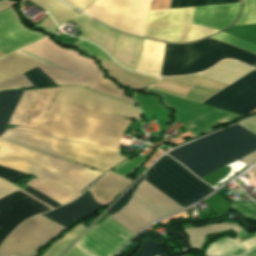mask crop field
Wrapping results in <instances>:
<instances>
[{
  "label": "crop field",
  "mask_w": 256,
  "mask_h": 256,
  "mask_svg": "<svg viewBox=\"0 0 256 256\" xmlns=\"http://www.w3.org/2000/svg\"><path fill=\"white\" fill-rule=\"evenodd\" d=\"M22 93L23 91L0 92V136L6 130L8 121ZM70 105L141 121L136 107L87 91L78 86L61 87L43 120L59 124ZM44 121L41 122L37 131L22 126L12 130H26L46 136L77 141L119 153L121 140Z\"/></svg>",
  "instance_id": "8a807250"
},
{
  "label": "crop field",
  "mask_w": 256,
  "mask_h": 256,
  "mask_svg": "<svg viewBox=\"0 0 256 256\" xmlns=\"http://www.w3.org/2000/svg\"><path fill=\"white\" fill-rule=\"evenodd\" d=\"M256 150V135L236 124L167 153L202 177Z\"/></svg>",
  "instance_id": "ac0d7876"
},
{
  "label": "crop field",
  "mask_w": 256,
  "mask_h": 256,
  "mask_svg": "<svg viewBox=\"0 0 256 256\" xmlns=\"http://www.w3.org/2000/svg\"><path fill=\"white\" fill-rule=\"evenodd\" d=\"M0 165L36 175L77 192L102 174L62 159L29 150L3 139H0ZM103 175L105 174L99 176L82 191Z\"/></svg>",
  "instance_id": "34b2d1b8"
},
{
  "label": "crop field",
  "mask_w": 256,
  "mask_h": 256,
  "mask_svg": "<svg viewBox=\"0 0 256 256\" xmlns=\"http://www.w3.org/2000/svg\"><path fill=\"white\" fill-rule=\"evenodd\" d=\"M223 58H234L251 66L256 62V55L208 38L186 45L166 44L161 76L200 72Z\"/></svg>",
  "instance_id": "412701ff"
},
{
  "label": "crop field",
  "mask_w": 256,
  "mask_h": 256,
  "mask_svg": "<svg viewBox=\"0 0 256 256\" xmlns=\"http://www.w3.org/2000/svg\"><path fill=\"white\" fill-rule=\"evenodd\" d=\"M16 144L107 171L126 158L118 154L26 131H5L1 136Z\"/></svg>",
  "instance_id": "f4fd0767"
},
{
  "label": "crop field",
  "mask_w": 256,
  "mask_h": 256,
  "mask_svg": "<svg viewBox=\"0 0 256 256\" xmlns=\"http://www.w3.org/2000/svg\"><path fill=\"white\" fill-rule=\"evenodd\" d=\"M82 12L96 0H64ZM153 0H97L83 13L128 34L143 37Z\"/></svg>",
  "instance_id": "dd49c442"
},
{
  "label": "crop field",
  "mask_w": 256,
  "mask_h": 256,
  "mask_svg": "<svg viewBox=\"0 0 256 256\" xmlns=\"http://www.w3.org/2000/svg\"><path fill=\"white\" fill-rule=\"evenodd\" d=\"M144 180L183 208L214 190L166 155L148 170Z\"/></svg>",
  "instance_id": "e52e79f7"
},
{
  "label": "crop field",
  "mask_w": 256,
  "mask_h": 256,
  "mask_svg": "<svg viewBox=\"0 0 256 256\" xmlns=\"http://www.w3.org/2000/svg\"><path fill=\"white\" fill-rule=\"evenodd\" d=\"M144 92L158 94L166 107L174 109V121L180 122L195 137L216 127L237 120L239 115L218 110L193 101L147 88Z\"/></svg>",
  "instance_id": "d8731c3e"
},
{
  "label": "crop field",
  "mask_w": 256,
  "mask_h": 256,
  "mask_svg": "<svg viewBox=\"0 0 256 256\" xmlns=\"http://www.w3.org/2000/svg\"><path fill=\"white\" fill-rule=\"evenodd\" d=\"M194 8L151 12L145 37L168 42H185L207 37L218 30L191 24Z\"/></svg>",
  "instance_id": "5a996713"
},
{
  "label": "crop field",
  "mask_w": 256,
  "mask_h": 256,
  "mask_svg": "<svg viewBox=\"0 0 256 256\" xmlns=\"http://www.w3.org/2000/svg\"><path fill=\"white\" fill-rule=\"evenodd\" d=\"M72 21L79 25L82 33L80 37L99 45L118 64L135 69L141 50V39L110 30L84 15Z\"/></svg>",
  "instance_id": "3316defc"
},
{
  "label": "crop field",
  "mask_w": 256,
  "mask_h": 256,
  "mask_svg": "<svg viewBox=\"0 0 256 256\" xmlns=\"http://www.w3.org/2000/svg\"><path fill=\"white\" fill-rule=\"evenodd\" d=\"M53 43L47 37L16 52L68 74L76 80L87 71L99 78L104 75L93 60L83 58L78 52L58 47Z\"/></svg>",
  "instance_id": "28ad6ade"
},
{
  "label": "crop field",
  "mask_w": 256,
  "mask_h": 256,
  "mask_svg": "<svg viewBox=\"0 0 256 256\" xmlns=\"http://www.w3.org/2000/svg\"><path fill=\"white\" fill-rule=\"evenodd\" d=\"M65 228L41 215L18 226L0 247V256H34L44 245Z\"/></svg>",
  "instance_id": "d1516ede"
},
{
  "label": "crop field",
  "mask_w": 256,
  "mask_h": 256,
  "mask_svg": "<svg viewBox=\"0 0 256 256\" xmlns=\"http://www.w3.org/2000/svg\"><path fill=\"white\" fill-rule=\"evenodd\" d=\"M23 194L31 197L48 208L53 209L10 183L0 179V203L14 199ZM25 195L0 205V242L19 223L28 217L50 210Z\"/></svg>",
  "instance_id": "22f410ed"
},
{
  "label": "crop field",
  "mask_w": 256,
  "mask_h": 256,
  "mask_svg": "<svg viewBox=\"0 0 256 256\" xmlns=\"http://www.w3.org/2000/svg\"><path fill=\"white\" fill-rule=\"evenodd\" d=\"M133 236L108 217L93 225L76 243L95 256H113Z\"/></svg>",
  "instance_id": "cbeb9de0"
},
{
  "label": "crop field",
  "mask_w": 256,
  "mask_h": 256,
  "mask_svg": "<svg viewBox=\"0 0 256 256\" xmlns=\"http://www.w3.org/2000/svg\"><path fill=\"white\" fill-rule=\"evenodd\" d=\"M203 104L242 116L256 108V70L228 86Z\"/></svg>",
  "instance_id": "5142ce71"
},
{
  "label": "crop field",
  "mask_w": 256,
  "mask_h": 256,
  "mask_svg": "<svg viewBox=\"0 0 256 256\" xmlns=\"http://www.w3.org/2000/svg\"><path fill=\"white\" fill-rule=\"evenodd\" d=\"M130 121L70 106L60 124L121 139Z\"/></svg>",
  "instance_id": "d9b57169"
},
{
  "label": "crop field",
  "mask_w": 256,
  "mask_h": 256,
  "mask_svg": "<svg viewBox=\"0 0 256 256\" xmlns=\"http://www.w3.org/2000/svg\"><path fill=\"white\" fill-rule=\"evenodd\" d=\"M59 88L24 91L9 124L37 130Z\"/></svg>",
  "instance_id": "733c2abd"
},
{
  "label": "crop field",
  "mask_w": 256,
  "mask_h": 256,
  "mask_svg": "<svg viewBox=\"0 0 256 256\" xmlns=\"http://www.w3.org/2000/svg\"><path fill=\"white\" fill-rule=\"evenodd\" d=\"M46 35L28 29L13 7L0 12V50L8 54ZM0 51V57L6 55Z\"/></svg>",
  "instance_id": "4a817a6b"
},
{
  "label": "crop field",
  "mask_w": 256,
  "mask_h": 256,
  "mask_svg": "<svg viewBox=\"0 0 256 256\" xmlns=\"http://www.w3.org/2000/svg\"><path fill=\"white\" fill-rule=\"evenodd\" d=\"M225 86L227 85L194 75L161 79L151 88L201 102Z\"/></svg>",
  "instance_id": "bc2a9ffb"
},
{
  "label": "crop field",
  "mask_w": 256,
  "mask_h": 256,
  "mask_svg": "<svg viewBox=\"0 0 256 256\" xmlns=\"http://www.w3.org/2000/svg\"><path fill=\"white\" fill-rule=\"evenodd\" d=\"M39 65L16 52L0 59V90L33 87L22 73Z\"/></svg>",
  "instance_id": "214f88e0"
},
{
  "label": "crop field",
  "mask_w": 256,
  "mask_h": 256,
  "mask_svg": "<svg viewBox=\"0 0 256 256\" xmlns=\"http://www.w3.org/2000/svg\"><path fill=\"white\" fill-rule=\"evenodd\" d=\"M103 206L93 202L91 196L86 190L80 197L69 204L58 207L49 212L43 213L44 217L68 228L73 218L82 221L96 214Z\"/></svg>",
  "instance_id": "92a150f3"
},
{
  "label": "crop field",
  "mask_w": 256,
  "mask_h": 256,
  "mask_svg": "<svg viewBox=\"0 0 256 256\" xmlns=\"http://www.w3.org/2000/svg\"><path fill=\"white\" fill-rule=\"evenodd\" d=\"M240 12V3L195 7L192 23L222 30L232 24Z\"/></svg>",
  "instance_id": "dafd665d"
},
{
  "label": "crop field",
  "mask_w": 256,
  "mask_h": 256,
  "mask_svg": "<svg viewBox=\"0 0 256 256\" xmlns=\"http://www.w3.org/2000/svg\"><path fill=\"white\" fill-rule=\"evenodd\" d=\"M110 217L134 235L143 226L158 219L133 200H130L127 206Z\"/></svg>",
  "instance_id": "00972430"
},
{
  "label": "crop field",
  "mask_w": 256,
  "mask_h": 256,
  "mask_svg": "<svg viewBox=\"0 0 256 256\" xmlns=\"http://www.w3.org/2000/svg\"><path fill=\"white\" fill-rule=\"evenodd\" d=\"M165 44L143 39L140 58L135 71L160 76Z\"/></svg>",
  "instance_id": "a9b5d70f"
},
{
  "label": "crop field",
  "mask_w": 256,
  "mask_h": 256,
  "mask_svg": "<svg viewBox=\"0 0 256 256\" xmlns=\"http://www.w3.org/2000/svg\"><path fill=\"white\" fill-rule=\"evenodd\" d=\"M131 182L132 180L109 173L89 191L94 197L95 201L106 206L115 195L121 193L123 189Z\"/></svg>",
  "instance_id": "4177f3b9"
},
{
  "label": "crop field",
  "mask_w": 256,
  "mask_h": 256,
  "mask_svg": "<svg viewBox=\"0 0 256 256\" xmlns=\"http://www.w3.org/2000/svg\"><path fill=\"white\" fill-rule=\"evenodd\" d=\"M252 70L254 69L238 62L223 60L215 67L197 75L230 85Z\"/></svg>",
  "instance_id": "730fd06b"
},
{
  "label": "crop field",
  "mask_w": 256,
  "mask_h": 256,
  "mask_svg": "<svg viewBox=\"0 0 256 256\" xmlns=\"http://www.w3.org/2000/svg\"><path fill=\"white\" fill-rule=\"evenodd\" d=\"M244 11L239 21L230 28L256 24V0H243ZM229 28V29H230ZM226 32L237 36L256 45V25L226 30Z\"/></svg>",
  "instance_id": "eef30255"
},
{
  "label": "crop field",
  "mask_w": 256,
  "mask_h": 256,
  "mask_svg": "<svg viewBox=\"0 0 256 256\" xmlns=\"http://www.w3.org/2000/svg\"><path fill=\"white\" fill-rule=\"evenodd\" d=\"M135 193L167 215L183 209L144 180Z\"/></svg>",
  "instance_id": "ae1a2a85"
},
{
  "label": "crop field",
  "mask_w": 256,
  "mask_h": 256,
  "mask_svg": "<svg viewBox=\"0 0 256 256\" xmlns=\"http://www.w3.org/2000/svg\"><path fill=\"white\" fill-rule=\"evenodd\" d=\"M230 229H232L234 232L242 230V228L234 223H221L187 229L183 231L189 235V245L191 249H201L206 235Z\"/></svg>",
  "instance_id": "d3111659"
},
{
  "label": "crop field",
  "mask_w": 256,
  "mask_h": 256,
  "mask_svg": "<svg viewBox=\"0 0 256 256\" xmlns=\"http://www.w3.org/2000/svg\"><path fill=\"white\" fill-rule=\"evenodd\" d=\"M133 100L139 105L142 114L154 116L158 119L171 122V111L159 104L158 98L133 93Z\"/></svg>",
  "instance_id": "750c4746"
},
{
  "label": "crop field",
  "mask_w": 256,
  "mask_h": 256,
  "mask_svg": "<svg viewBox=\"0 0 256 256\" xmlns=\"http://www.w3.org/2000/svg\"><path fill=\"white\" fill-rule=\"evenodd\" d=\"M37 4L41 8L48 11L54 18L57 25L64 23L72 18L77 17L79 14L76 13L72 8L64 5L57 0H30Z\"/></svg>",
  "instance_id": "bd1437ed"
},
{
  "label": "crop field",
  "mask_w": 256,
  "mask_h": 256,
  "mask_svg": "<svg viewBox=\"0 0 256 256\" xmlns=\"http://www.w3.org/2000/svg\"><path fill=\"white\" fill-rule=\"evenodd\" d=\"M242 253H245V250L242 248L240 243L236 239L225 237L214 243H212L207 252L206 256H237Z\"/></svg>",
  "instance_id": "1d83c4d3"
},
{
  "label": "crop field",
  "mask_w": 256,
  "mask_h": 256,
  "mask_svg": "<svg viewBox=\"0 0 256 256\" xmlns=\"http://www.w3.org/2000/svg\"><path fill=\"white\" fill-rule=\"evenodd\" d=\"M39 68L44 71L53 81H55L58 85H71V84H77V85H81V86H85L95 80H97L98 78L93 76L90 73H86L84 74L80 79H78L77 81L74 80L73 78L58 72L50 67L41 65L39 66Z\"/></svg>",
  "instance_id": "120bbe31"
},
{
  "label": "crop field",
  "mask_w": 256,
  "mask_h": 256,
  "mask_svg": "<svg viewBox=\"0 0 256 256\" xmlns=\"http://www.w3.org/2000/svg\"><path fill=\"white\" fill-rule=\"evenodd\" d=\"M86 229L84 223L78 225L75 230L69 232L60 241L55 242L44 256H61Z\"/></svg>",
  "instance_id": "d32e631a"
},
{
  "label": "crop field",
  "mask_w": 256,
  "mask_h": 256,
  "mask_svg": "<svg viewBox=\"0 0 256 256\" xmlns=\"http://www.w3.org/2000/svg\"><path fill=\"white\" fill-rule=\"evenodd\" d=\"M86 87L103 93L105 95L116 97L123 101L135 104V102L131 98L125 95L123 89L119 88L115 83L103 77Z\"/></svg>",
  "instance_id": "5866460e"
},
{
  "label": "crop field",
  "mask_w": 256,
  "mask_h": 256,
  "mask_svg": "<svg viewBox=\"0 0 256 256\" xmlns=\"http://www.w3.org/2000/svg\"><path fill=\"white\" fill-rule=\"evenodd\" d=\"M26 184L37 189L38 191L42 192L43 194L47 195L48 197L52 198L53 200L57 201L58 203H60L62 205L73 200V199H71V198L37 182V181L32 180Z\"/></svg>",
  "instance_id": "028f5c9d"
},
{
  "label": "crop field",
  "mask_w": 256,
  "mask_h": 256,
  "mask_svg": "<svg viewBox=\"0 0 256 256\" xmlns=\"http://www.w3.org/2000/svg\"><path fill=\"white\" fill-rule=\"evenodd\" d=\"M26 78L32 83L34 87L40 86H55L56 84L38 67L24 73Z\"/></svg>",
  "instance_id": "e1f06a70"
},
{
  "label": "crop field",
  "mask_w": 256,
  "mask_h": 256,
  "mask_svg": "<svg viewBox=\"0 0 256 256\" xmlns=\"http://www.w3.org/2000/svg\"><path fill=\"white\" fill-rule=\"evenodd\" d=\"M234 2H239V0H172L170 9Z\"/></svg>",
  "instance_id": "0bd39190"
},
{
  "label": "crop field",
  "mask_w": 256,
  "mask_h": 256,
  "mask_svg": "<svg viewBox=\"0 0 256 256\" xmlns=\"http://www.w3.org/2000/svg\"><path fill=\"white\" fill-rule=\"evenodd\" d=\"M100 65H102L104 67V69L108 72L123 75L126 77L134 78V79L149 82V83H152L153 81H155L157 79L154 77H146V76L134 73V72L126 71L116 65L106 63V62H100Z\"/></svg>",
  "instance_id": "b80d0937"
},
{
  "label": "crop field",
  "mask_w": 256,
  "mask_h": 256,
  "mask_svg": "<svg viewBox=\"0 0 256 256\" xmlns=\"http://www.w3.org/2000/svg\"><path fill=\"white\" fill-rule=\"evenodd\" d=\"M73 46L80 48L82 51L90 54L91 56H93L94 58H96L100 61L105 60L107 62L114 63L104 52H102L97 47H95L81 39H79Z\"/></svg>",
  "instance_id": "c035e120"
},
{
  "label": "crop field",
  "mask_w": 256,
  "mask_h": 256,
  "mask_svg": "<svg viewBox=\"0 0 256 256\" xmlns=\"http://www.w3.org/2000/svg\"><path fill=\"white\" fill-rule=\"evenodd\" d=\"M212 38H215V39H218V40H221V41H225V42H228V43H231V44H234L240 48H243L247 51H250L252 53H255L256 54V46L250 44V43H247L245 41H242L238 38H235L233 36H230L226 33H219L217 35H214L212 36Z\"/></svg>",
  "instance_id": "c21b1889"
},
{
  "label": "crop field",
  "mask_w": 256,
  "mask_h": 256,
  "mask_svg": "<svg viewBox=\"0 0 256 256\" xmlns=\"http://www.w3.org/2000/svg\"><path fill=\"white\" fill-rule=\"evenodd\" d=\"M168 256L163 253L156 242L143 240L140 251L135 256Z\"/></svg>",
  "instance_id": "03da06ac"
},
{
  "label": "crop field",
  "mask_w": 256,
  "mask_h": 256,
  "mask_svg": "<svg viewBox=\"0 0 256 256\" xmlns=\"http://www.w3.org/2000/svg\"><path fill=\"white\" fill-rule=\"evenodd\" d=\"M231 208L247 218L256 219V202H235Z\"/></svg>",
  "instance_id": "b54c1fbb"
},
{
  "label": "crop field",
  "mask_w": 256,
  "mask_h": 256,
  "mask_svg": "<svg viewBox=\"0 0 256 256\" xmlns=\"http://www.w3.org/2000/svg\"><path fill=\"white\" fill-rule=\"evenodd\" d=\"M145 158H146V156H138V157L128 161L124 165L116 168L115 170L112 171V173L120 174V175L126 177L130 173H132V171L136 167H138L145 160Z\"/></svg>",
  "instance_id": "5d738f31"
},
{
  "label": "crop field",
  "mask_w": 256,
  "mask_h": 256,
  "mask_svg": "<svg viewBox=\"0 0 256 256\" xmlns=\"http://www.w3.org/2000/svg\"><path fill=\"white\" fill-rule=\"evenodd\" d=\"M145 173L141 176V178L110 208L107 212L109 215L117 212L120 210L130 199L132 194L134 193L135 189L137 188L140 181L143 179Z\"/></svg>",
  "instance_id": "d23c7cc5"
},
{
  "label": "crop field",
  "mask_w": 256,
  "mask_h": 256,
  "mask_svg": "<svg viewBox=\"0 0 256 256\" xmlns=\"http://www.w3.org/2000/svg\"><path fill=\"white\" fill-rule=\"evenodd\" d=\"M135 202H137L138 204H140L142 207H144L145 209H147L149 212H151L152 214H154L156 217L161 218V217H165L167 215H165L164 213H162L160 210H158L157 208H155L154 206H152L150 203H148L147 201H145L144 199H142L140 196H138L137 194L134 193V195L132 196V198Z\"/></svg>",
  "instance_id": "425ffa30"
},
{
  "label": "crop field",
  "mask_w": 256,
  "mask_h": 256,
  "mask_svg": "<svg viewBox=\"0 0 256 256\" xmlns=\"http://www.w3.org/2000/svg\"><path fill=\"white\" fill-rule=\"evenodd\" d=\"M108 75L114 77L117 81H119L120 83H122V84H124V85H126L130 88H136V89L141 90L144 87H146L147 85H149V84H145V83H142V82H139V81H135V80L128 79V78H125V77H121V76L111 74V73H109Z\"/></svg>",
  "instance_id": "25e5ab78"
},
{
  "label": "crop field",
  "mask_w": 256,
  "mask_h": 256,
  "mask_svg": "<svg viewBox=\"0 0 256 256\" xmlns=\"http://www.w3.org/2000/svg\"><path fill=\"white\" fill-rule=\"evenodd\" d=\"M25 173H21L15 170H11L5 167L0 166V177L9 181V182H14L21 176H23Z\"/></svg>",
  "instance_id": "73cf0c24"
},
{
  "label": "crop field",
  "mask_w": 256,
  "mask_h": 256,
  "mask_svg": "<svg viewBox=\"0 0 256 256\" xmlns=\"http://www.w3.org/2000/svg\"><path fill=\"white\" fill-rule=\"evenodd\" d=\"M33 179H35V180H37V181H39V182H41V183H43V184H45V185L51 187V188H53V189H55V190H57V191H60V192L66 194V195H68V196H70V197H72V198H74V199L80 195V194H78V193H76V192H74V191H72V190H69V189H67V188H64V187H62V186H60V185H58V184L50 183V182L45 181V180H43V179H40V178H38V177L33 178Z\"/></svg>",
  "instance_id": "89e229c0"
},
{
  "label": "crop field",
  "mask_w": 256,
  "mask_h": 256,
  "mask_svg": "<svg viewBox=\"0 0 256 256\" xmlns=\"http://www.w3.org/2000/svg\"><path fill=\"white\" fill-rule=\"evenodd\" d=\"M25 192L33 195L34 197L40 199L41 201L47 203L48 205L56 208L58 206H61L60 204H58L57 202L53 201L52 199L48 198L47 196L37 192L35 189L29 187L27 189L24 190Z\"/></svg>",
  "instance_id": "1f2cbd36"
},
{
  "label": "crop field",
  "mask_w": 256,
  "mask_h": 256,
  "mask_svg": "<svg viewBox=\"0 0 256 256\" xmlns=\"http://www.w3.org/2000/svg\"><path fill=\"white\" fill-rule=\"evenodd\" d=\"M64 256H93V255L75 243L67 251V253Z\"/></svg>",
  "instance_id": "dbb93151"
},
{
  "label": "crop field",
  "mask_w": 256,
  "mask_h": 256,
  "mask_svg": "<svg viewBox=\"0 0 256 256\" xmlns=\"http://www.w3.org/2000/svg\"><path fill=\"white\" fill-rule=\"evenodd\" d=\"M43 30H46L50 33L54 32L55 30H57V28L54 26L53 22L51 21V19H49L48 17H46L43 21H41L38 25H35Z\"/></svg>",
  "instance_id": "0fb4a251"
},
{
  "label": "crop field",
  "mask_w": 256,
  "mask_h": 256,
  "mask_svg": "<svg viewBox=\"0 0 256 256\" xmlns=\"http://www.w3.org/2000/svg\"><path fill=\"white\" fill-rule=\"evenodd\" d=\"M245 127L246 129L250 130L254 134H256V117L246 120L244 122L238 123Z\"/></svg>",
  "instance_id": "1d79db26"
},
{
  "label": "crop field",
  "mask_w": 256,
  "mask_h": 256,
  "mask_svg": "<svg viewBox=\"0 0 256 256\" xmlns=\"http://www.w3.org/2000/svg\"><path fill=\"white\" fill-rule=\"evenodd\" d=\"M255 236H256V233H255ZM244 248L249 251L251 249H253L254 247H256V237L254 238H251L249 240H246V241H243V242H240Z\"/></svg>",
  "instance_id": "9d1cf04e"
},
{
  "label": "crop field",
  "mask_w": 256,
  "mask_h": 256,
  "mask_svg": "<svg viewBox=\"0 0 256 256\" xmlns=\"http://www.w3.org/2000/svg\"><path fill=\"white\" fill-rule=\"evenodd\" d=\"M249 177L246 179L256 189V167L247 172Z\"/></svg>",
  "instance_id": "447ae74e"
},
{
  "label": "crop field",
  "mask_w": 256,
  "mask_h": 256,
  "mask_svg": "<svg viewBox=\"0 0 256 256\" xmlns=\"http://www.w3.org/2000/svg\"><path fill=\"white\" fill-rule=\"evenodd\" d=\"M241 160L248 166L249 164L256 161V151L241 158Z\"/></svg>",
  "instance_id": "0765c3eb"
},
{
  "label": "crop field",
  "mask_w": 256,
  "mask_h": 256,
  "mask_svg": "<svg viewBox=\"0 0 256 256\" xmlns=\"http://www.w3.org/2000/svg\"><path fill=\"white\" fill-rule=\"evenodd\" d=\"M184 217H187L185 211L180 213V214H178V215H176V216H174V217H171L169 219L163 220V221H161V223L164 224V223H167V222H170V221H174V220H177V219H180V218H184Z\"/></svg>",
  "instance_id": "db79e9e6"
},
{
  "label": "crop field",
  "mask_w": 256,
  "mask_h": 256,
  "mask_svg": "<svg viewBox=\"0 0 256 256\" xmlns=\"http://www.w3.org/2000/svg\"><path fill=\"white\" fill-rule=\"evenodd\" d=\"M16 3L14 2H8L7 0H2L0 1V11L10 7V6H14Z\"/></svg>",
  "instance_id": "7b73153f"
},
{
  "label": "crop field",
  "mask_w": 256,
  "mask_h": 256,
  "mask_svg": "<svg viewBox=\"0 0 256 256\" xmlns=\"http://www.w3.org/2000/svg\"><path fill=\"white\" fill-rule=\"evenodd\" d=\"M242 256H256V249Z\"/></svg>",
  "instance_id": "78b8030e"
}]
</instances>
